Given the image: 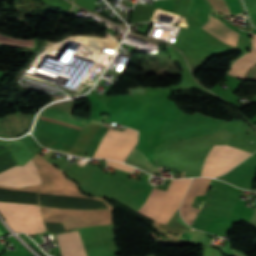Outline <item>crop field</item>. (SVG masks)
<instances>
[{"label": "crop field", "instance_id": "1", "mask_svg": "<svg viewBox=\"0 0 256 256\" xmlns=\"http://www.w3.org/2000/svg\"><path fill=\"white\" fill-rule=\"evenodd\" d=\"M40 183L32 160L0 173V185L24 187ZM0 214L16 232L31 234L45 231L38 205L0 201Z\"/></svg>", "mask_w": 256, "mask_h": 256}, {"label": "crop field", "instance_id": "4", "mask_svg": "<svg viewBox=\"0 0 256 256\" xmlns=\"http://www.w3.org/2000/svg\"><path fill=\"white\" fill-rule=\"evenodd\" d=\"M75 105L76 104L74 103V100H72V101H65V102L55 103V104L50 105L48 107H52V108L59 109V110L65 111V112L73 113ZM48 107L42 111L40 116H44V117H47V118H51V119H54V120H58V121L68 123V124H71V125H75V126H78V127H82V128H84L85 125L87 124V122H84L82 120L74 119L71 116V114H69V113H65V112L58 111V110L48 108ZM44 117H40V118H44ZM47 118H44V119H47ZM51 119H48V120H51ZM54 120H51V121H54ZM58 121H55V122H58ZM61 122H59V123H61ZM64 123H62V124H64ZM68 124H66V125H68ZM75 126H73V127H75Z\"/></svg>", "mask_w": 256, "mask_h": 256}, {"label": "crop field", "instance_id": "2", "mask_svg": "<svg viewBox=\"0 0 256 256\" xmlns=\"http://www.w3.org/2000/svg\"><path fill=\"white\" fill-rule=\"evenodd\" d=\"M137 138V131L132 129L127 128L124 132L109 129L93 157L110 158L123 162L136 144Z\"/></svg>", "mask_w": 256, "mask_h": 256}, {"label": "crop field", "instance_id": "9", "mask_svg": "<svg viewBox=\"0 0 256 256\" xmlns=\"http://www.w3.org/2000/svg\"><path fill=\"white\" fill-rule=\"evenodd\" d=\"M125 163L141 168L150 174L157 170V168L145 157L139 143L133 152L126 158Z\"/></svg>", "mask_w": 256, "mask_h": 256}, {"label": "crop field", "instance_id": "6", "mask_svg": "<svg viewBox=\"0 0 256 256\" xmlns=\"http://www.w3.org/2000/svg\"><path fill=\"white\" fill-rule=\"evenodd\" d=\"M62 256H87L78 230L57 235Z\"/></svg>", "mask_w": 256, "mask_h": 256}, {"label": "crop field", "instance_id": "11", "mask_svg": "<svg viewBox=\"0 0 256 256\" xmlns=\"http://www.w3.org/2000/svg\"><path fill=\"white\" fill-rule=\"evenodd\" d=\"M168 225H172V226H175V227H178V228H182V229H185V230H190V227L187 226L183 221L182 219L180 218V216H176V215H173L171 217V219L169 220L168 222ZM191 230H194L191 228Z\"/></svg>", "mask_w": 256, "mask_h": 256}, {"label": "crop field", "instance_id": "12", "mask_svg": "<svg viewBox=\"0 0 256 256\" xmlns=\"http://www.w3.org/2000/svg\"><path fill=\"white\" fill-rule=\"evenodd\" d=\"M212 6V8L216 11L228 14L225 5L223 3V0H208ZM229 15V14H228Z\"/></svg>", "mask_w": 256, "mask_h": 256}, {"label": "crop field", "instance_id": "14", "mask_svg": "<svg viewBox=\"0 0 256 256\" xmlns=\"http://www.w3.org/2000/svg\"><path fill=\"white\" fill-rule=\"evenodd\" d=\"M252 101H256V96L253 98V99H251Z\"/></svg>", "mask_w": 256, "mask_h": 256}, {"label": "crop field", "instance_id": "10", "mask_svg": "<svg viewBox=\"0 0 256 256\" xmlns=\"http://www.w3.org/2000/svg\"><path fill=\"white\" fill-rule=\"evenodd\" d=\"M107 132V129H104L102 127H100L97 132L93 135L89 145L87 146V148L85 149L84 152L89 153L88 156H93L100 140L102 139V137L104 136V134Z\"/></svg>", "mask_w": 256, "mask_h": 256}, {"label": "crop field", "instance_id": "7", "mask_svg": "<svg viewBox=\"0 0 256 256\" xmlns=\"http://www.w3.org/2000/svg\"><path fill=\"white\" fill-rule=\"evenodd\" d=\"M211 35L236 47L239 32L225 25L219 19L210 16V22L201 27Z\"/></svg>", "mask_w": 256, "mask_h": 256}, {"label": "crop field", "instance_id": "3", "mask_svg": "<svg viewBox=\"0 0 256 256\" xmlns=\"http://www.w3.org/2000/svg\"><path fill=\"white\" fill-rule=\"evenodd\" d=\"M210 181L211 179L208 178L193 179V182L180 208L181 216L186 223L191 224V222L194 220L199 208L193 207L191 204L195 197L205 195Z\"/></svg>", "mask_w": 256, "mask_h": 256}, {"label": "crop field", "instance_id": "8", "mask_svg": "<svg viewBox=\"0 0 256 256\" xmlns=\"http://www.w3.org/2000/svg\"><path fill=\"white\" fill-rule=\"evenodd\" d=\"M100 126V124L95 123L93 121H91V123L89 125H87L81 132L75 146L73 147V150H77V151H83L85 145L87 144L89 138L91 137V135L95 132V130ZM47 146L50 147H54L60 150H64V151H68L71 152V154L73 155H77L80 156L81 152H77V151H73L71 150L72 147L71 146H66V145H62L59 144L57 142L54 143H50Z\"/></svg>", "mask_w": 256, "mask_h": 256}, {"label": "crop field", "instance_id": "16", "mask_svg": "<svg viewBox=\"0 0 256 256\" xmlns=\"http://www.w3.org/2000/svg\"><path fill=\"white\" fill-rule=\"evenodd\" d=\"M182 177H183V173H182Z\"/></svg>", "mask_w": 256, "mask_h": 256}, {"label": "crop field", "instance_id": "13", "mask_svg": "<svg viewBox=\"0 0 256 256\" xmlns=\"http://www.w3.org/2000/svg\"><path fill=\"white\" fill-rule=\"evenodd\" d=\"M107 165L108 166H111L113 168H119L121 170H124V171H127V172H131L134 168L132 167H128V166H125V165H122L120 163H117V162H113V161H107Z\"/></svg>", "mask_w": 256, "mask_h": 256}, {"label": "crop field", "instance_id": "15", "mask_svg": "<svg viewBox=\"0 0 256 256\" xmlns=\"http://www.w3.org/2000/svg\"><path fill=\"white\" fill-rule=\"evenodd\" d=\"M0 235H2L1 231H0Z\"/></svg>", "mask_w": 256, "mask_h": 256}, {"label": "crop field", "instance_id": "5", "mask_svg": "<svg viewBox=\"0 0 256 256\" xmlns=\"http://www.w3.org/2000/svg\"><path fill=\"white\" fill-rule=\"evenodd\" d=\"M252 39L253 49L236 60L229 74L241 77L245 68L256 59V34H252ZM242 78L256 80V60L246 68Z\"/></svg>", "mask_w": 256, "mask_h": 256}]
</instances>
